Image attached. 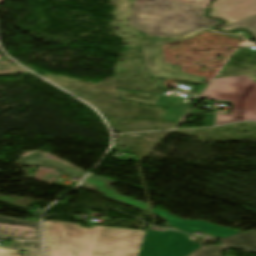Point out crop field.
I'll use <instances>...</instances> for the list:
<instances>
[{"mask_svg":"<svg viewBox=\"0 0 256 256\" xmlns=\"http://www.w3.org/2000/svg\"><path fill=\"white\" fill-rule=\"evenodd\" d=\"M46 256H138L146 231L43 221Z\"/></svg>","mask_w":256,"mask_h":256,"instance_id":"1","label":"crop field"},{"mask_svg":"<svg viewBox=\"0 0 256 256\" xmlns=\"http://www.w3.org/2000/svg\"><path fill=\"white\" fill-rule=\"evenodd\" d=\"M207 9L171 0H148L144 5L135 4L129 25L154 37V44L191 38L202 31L245 40L250 37L243 30L221 33L214 25L222 21L204 16Z\"/></svg>","mask_w":256,"mask_h":256,"instance_id":"2","label":"crop field"},{"mask_svg":"<svg viewBox=\"0 0 256 256\" xmlns=\"http://www.w3.org/2000/svg\"><path fill=\"white\" fill-rule=\"evenodd\" d=\"M201 98L233 101L232 114H218L217 125L256 120V83L246 76L215 78Z\"/></svg>","mask_w":256,"mask_h":256,"instance_id":"3","label":"crop field"},{"mask_svg":"<svg viewBox=\"0 0 256 256\" xmlns=\"http://www.w3.org/2000/svg\"><path fill=\"white\" fill-rule=\"evenodd\" d=\"M199 247L188 240V234L147 231L139 256H187Z\"/></svg>","mask_w":256,"mask_h":256,"instance_id":"4","label":"crop field"},{"mask_svg":"<svg viewBox=\"0 0 256 256\" xmlns=\"http://www.w3.org/2000/svg\"><path fill=\"white\" fill-rule=\"evenodd\" d=\"M149 76L202 84L204 78L187 74L162 60L161 45L140 46Z\"/></svg>","mask_w":256,"mask_h":256,"instance_id":"5","label":"crop field"},{"mask_svg":"<svg viewBox=\"0 0 256 256\" xmlns=\"http://www.w3.org/2000/svg\"><path fill=\"white\" fill-rule=\"evenodd\" d=\"M210 8L211 12L209 16L227 20V23L222 25L225 26L256 14V0H214Z\"/></svg>","mask_w":256,"mask_h":256,"instance_id":"6","label":"crop field"},{"mask_svg":"<svg viewBox=\"0 0 256 256\" xmlns=\"http://www.w3.org/2000/svg\"><path fill=\"white\" fill-rule=\"evenodd\" d=\"M152 212L164 217L169 226L177 228L180 231L186 232V233L201 231L209 235L220 237V238L229 237L239 233L237 231H233V230L223 228V227L213 225L203 221L181 220L158 209H154L152 210Z\"/></svg>","mask_w":256,"mask_h":256,"instance_id":"7","label":"crop field"},{"mask_svg":"<svg viewBox=\"0 0 256 256\" xmlns=\"http://www.w3.org/2000/svg\"><path fill=\"white\" fill-rule=\"evenodd\" d=\"M0 236L23 240H40L36 222L0 216Z\"/></svg>","mask_w":256,"mask_h":256,"instance_id":"8","label":"crop field"},{"mask_svg":"<svg viewBox=\"0 0 256 256\" xmlns=\"http://www.w3.org/2000/svg\"><path fill=\"white\" fill-rule=\"evenodd\" d=\"M116 182L95 176L90 174L85 181L80 185V187L87 188L93 191L100 192L104 195V197L142 209L148 210L147 205L141 202L135 201L133 199L124 197L122 195L117 194L111 185Z\"/></svg>","mask_w":256,"mask_h":256,"instance_id":"9","label":"crop field"},{"mask_svg":"<svg viewBox=\"0 0 256 256\" xmlns=\"http://www.w3.org/2000/svg\"><path fill=\"white\" fill-rule=\"evenodd\" d=\"M43 153H39V152H33L32 155L25 157V158H21V160L19 161V164H28V165H36V166H42V167H49V168H55V169H59V170H65L63 171L64 174L66 175H70V176H80L83 177L86 172L80 171L78 169L57 163L55 161L46 159L41 157Z\"/></svg>","mask_w":256,"mask_h":256,"instance_id":"10","label":"crop field"},{"mask_svg":"<svg viewBox=\"0 0 256 256\" xmlns=\"http://www.w3.org/2000/svg\"><path fill=\"white\" fill-rule=\"evenodd\" d=\"M25 256H42L41 243L22 242ZM21 250L20 241L13 240L8 247L0 246V256H19Z\"/></svg>","mask_w":256,"mask_h":256,"instance_id":"11","label":"crop field"},{"mask_svg":"<svg viewBox=\"0 0 256 256\" xmlns=\"http://www.w3.org/2000/svg\"><path fill=\"white\" fill-rule=\"evenodd\" d=\"M221 242L228 247L254 250L256 249V230L221 239Z\"/></svg>","mask_w":256,"mask_h":256,"instance_id":"12","label":"crop field"},{"mask_svg":"<svg viewBox=\"0 0 256 256\" xmlns=\"http://www.w3.org/2000/svg\"><path fill=\"white\" fill-rule=\"evenodd\" d=\"M234 28H244L253 33L256 37V15L245 18L233 24L227 25L225 27L220 28L222 31H227Z\"/></svg>","mask_w":256,"mask_h":256,"instance_id":"13","label":"crop field"},{"mask_svg":"<svg viewBox=\"0 0 256 256\" xmlns=\"http://www.w3.org/2000/svg\"><path fill=\"white\" fill-rule=\"evenodd\" d=\"M223 250H225L223 246L202 247L189 256H220V252Z\"/></svg>","mask_w":256,"mask_h":256,"instance_id":"14","label":"crop field"},{"mask_svg":"<svg viewBox=\"0 0 256 256\" xmlns=\"http://www.w3.org/2000/svg\"><path fill=\"white\" fill-rule=\"evenodd\" d=\"M1 73H26V72H24L23 70L19 69L15 65L3 59V60H0V74Z\"/></svg>","mask_w":256,"mask_h":256,"instance_id":"15","label":"crop field"},{"mask_svg":"<svg viewBox=\"0 0 256 256\" xmlns=\"http://www.w3.org/2000/svg\"><path fill=\"white\" fill-rule=\"evenodd\" d=\"M144 1H146V0H136L135 3L143 4ZM176 1H181V2H185V3H190V4H195V5L206 7V5L211 0H176Z\"/></svg>","mask_w":256,"mask_h":256,"instance_id":"16","label":"crop field"},{"mask_svg":"<svg viewBox=\"0 0 256 256\" xmlns=\"http://www.w3.org/2000/svg\"><path fill=\"white\" fill-rule=\"evenodd\" d=\"M2 1H4V0H0V3H1Z\"/></svg>","mask_w":256,"mask_h":256,"instance_id":"17","label":"crop field"},{"mask_svg":"<svg viewBox=\"0 0 256 256\" xmlns=\"http://www.w3.org/2000/svg\"><path fill=\"white\" fill-rule=\"evenodd\" d=\"M253 253H255V254H256V252H253Z\"/></svg>","mask_w":256,"mask_h":256,"instance_id":"18","label":"crop field"}]
</instances>
